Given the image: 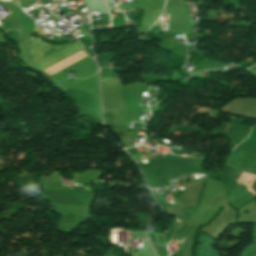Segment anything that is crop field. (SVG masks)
I'll return each mask as SVG.
<instances>
[{
  "mask_svg": "<svg viewBox=\"0 0 256 256\" xmlns=\"http://www.w3.org/2000/svg\"><path fill=\"white\" fill-rule=\"evenodd\" d=\"M197 225L198 224L192 221L189 225H185L177 234L176 240L182 242V256H186L187 254L190 235Z\"/></svg>",
  "mask_w": 256,
  "mask_h": 256,
  "instance_id": "crop-field-1",
  "label": "crop field"
},
{
  "mask_svg": "<svg viewBox=\"0 0 256 256\" xmlns=\"http://www.w3.org/2000/svg\"><path fill=\"white\" fill-rule=\"evenodd\" d=\"M153 246H154L158 256H168L166 248L160 247V246H157V245H153Z\"/></svg>",
  "mask_w": 256,
  "mask_h": 256,
  "instance_id": "crop-field-2",
  "label": "crop field"
}]
</instances>
